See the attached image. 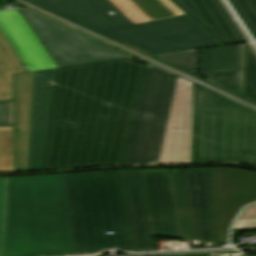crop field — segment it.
<instances>
[{"mask_svg": "<svg viewBox=\"0 0 256 256\" xmlns=\"http://www.w3.org/2000/svg\"><path fill=\"white\" fill-rule=\"evenodd\" d=\"M145 67L129 59L55 69L41 169L121 165Z\"/></svg>", "mask_w": 256, "mask_h": 256, "instance_id": "crop-field-1", "label": "crop field"}, {"mask_svg": "<svg viewBox=\"0 0 256 256\" xmlns=\"http://www.w3.org/2000/svg\"><path fill=\"white\" fill-rule=\"evenodd\" d=\"M29 1L151 55L220 45L187 15L134 25L109 0Z\"/></svg>", "mask_w": 256, "mask_h": 256, "instance_id": "crop-field-2", "label": "crop field"}, {"mask_svg": "<svg viewBox=\"0 0 256 256\" xmlns=\"http://www.w3.org/2000/svg\"><path fill=\"white\" fill-rule=\"evenodd\" d=\"M66 178L76 253L107 248L133 252L120 171Z\"/></svg>", "mask_w": 256, "mask_h": 256, "instance_id": "crop-field-3", "label": "crop field"}, {"mask_svg": "<svg viewBox=\"0 0 256 256\" xmlns=\"http://www.w3.org/2000/svg\"><path fill=\"white\" fill-rule=\"evenodd\" d=\"M22 256L77 255L65 175L18 177Z\"/></svg>", "mask_w": 256, "mask_h": 256, "instance_id": "crop-field-4", "label": "crop field"}, {"mask_svg": "<svg viewBox=\"0 0 256 256\" xmlns=\"http://www.w3.org/2000/svg\"><path fill=\"white\" fill-rule=\"evenodd\" d=\"M211 162L256 165V113L200 87L196 163Z\"/></svg>", "mask_w": 256, "mask_h": 256, "instance_id": "crop-field-5", "label": "crop field"}, {"mask_svg": "<svg viewBox=\"0 0 256 256\" xmlns=\"http://www.w3.org/2000/svg\"><path fill=\"white\" fill-rule=\"evenodd\" d=\"M177 78L147 65L124 165L157 163Z\"/></svg>", "mask_w": 256, "mask_h": 256, "instance_id": "crop-field-6", "label": "crop field"}, {"mask_svg": "<svg viewBox=\"0 0 256 256\" xmlns=\"http://www.w3.org/2000/svg\"><path fill=\"white\" fill-rule=\"evenodd\" d=\"M19 10L58 67L133 58L35 11Z\"/></svg>", "mask_w": 256, "mask_h": 256, "instance_id": "crop-field-7", "label": "crop field"}, {"mask_svg": "<svg viewBox=\"0 0 256 256\" xmlns=\"http://www.w3.org/2000/svg\"><path fill=\"white\" fill-rule=\"evenodd\" d=\"M211 174L217 238L220 244H226L228 228L238 210L256 201V173L212 168Z\"/></svg>", "mask_w": 256, "mask_h": 256, "instance_id": "crop-field-8", "label": "crop field"}, {"mask_svg": "<svg viewBox=\"0 0 256 256\" xmlns=\"http://www.w3.org/2000/svg\"><path fill=\"white\" fill-rule=\"evenodd\" d=\"M193 163V83L178 78L158 163Z\"/></svg>", "mask_w": 256, "mask_h": 256, "instance_id": "crop-field-9", "label": "crop field"}, {"mask_svg": "<svg viewBox=\"0 0 256 256\" xmlns=\"http://www.w3.org/2000/svg\"><path fill=\"white\" fill-rule=\"evenodd\" d=\"M181 172L191 239L217 244L210 169Z\"/></svg>", "mask_w": 256, "mask_h": 256, "instance_id": "crop-field-10", "label": "crop field"}, {"mask_svg": "<svg viewBox=\"0 0 256 256\" xmlns=\"http://www.w3.org/2000/svg\"><path fill=\"white\" fill-rule=\"evenodd\" d=\"M0 30L29 72L57 67L18 9L0 12Z\"/></svg>", "mask_w": 256, "mask_h": 256, "instance_id": "crop-field-11", "label": "crop field"}, {"mask_svg": "<svg viewBox=\"0 0 256 256\" xmlns=\"http://www.w3.org/2000/svg\"><path fill=\"white\" fill-rule=\"evenodd\" d=\"M143 176L153 235L180 238L170 172Z\"/></svg>", "mask_w": 256, "mask_h": 256, "instance_id": "crop-field-12", "label": "crop field"}, {"mask_svg": "<svg viewBox=\"0 0 256 256\" xmlns=\"http://www.w3.org/2000/svg\"><path fill=\"white\" fill-rule=\"evenodd\" d=\"M134 252L155 251L141 170L121 171Z\"/></svg>", "mask_w": 256, "mask_h": 256, "instance_id": "crop-field-13", "label": "crop field"}, {"mask_svg": "<svg viewBox=\"0 0 256 256\" xmlns=\"http://www.w3.org/2000/svg\"><path fill=\"white\" fill-rule=\"evenodd\" d=\"M222 44L245 41L219 0H172Z\"/></svg>", "mask_w": 256, "mask_h": 256, "instance_id": "crop-field-14", "label": "crop field"}, {"mask_svg": "<svg viewBox=\"0 0 256 256\" xmlns=\"http://www.w3.org/2000/svg\"><path fill=\"white\" fill-rule=\"evenodd\" d=\"M53 73L54 69L34 72L28 170H40L41 167Z\"/></svg>", "mask_w": 256, "mask_h": 256, "instance_id": "crop-field-15", "label": "crop field"}, {"mask_svg": "<svg viewBox=\"0 0 256 256\" xmlns=\"http://www.w3.org/2000/svg\"><path fill=\"white\" fill-rule=\"evenodd\" d=\"M15 87V170H27L32 109L33 72L14 75Z\"/></svg>", "mask_w": 256, "mask_h": 256, "instance_id": "crop-field-16", "label": "crop field"}, {"mask_svg": "<svg viewBox=\"0 0 256 256\" xmlns=\"http://www.w3.org/2000/svg\"><path fill=\"white\" fill-rule=\"evenodd\" d=\"M5 256H21L17 177L7 186Z\"/></svg>", "mask_w": 256, "mask_h": 256, "instance_id": "crop-field-17", "label": "crop field"}, {"mask_svg": "<svg viewBox=\"0 0 256 256\" xmlns=\"http://www.w3.org/2000/svg\"><path fill=\"white\" fill-rule=\"evenodd\" d=\"M242 69V45L201 50L200 75L209 82L212 70Z\"/></svg>", "mask_w": 256, "mask_h": 256, "instance_id": "crop-field-18", "label": "crop field"}, {"mask_svg": "<svg viewBox=\"0 0 256 256\" xmlns=\"http://www.w3.org/2000/svg\"><path fill=\"white\" fill-rule=\"evenodd\" d=\"M0 31V101L14 100L13 74L26 69Z\"/></svg>", "mask_w": 256, "mask_h": 256, "instance_id": "crop-field-19", "label": "crop field"}, {"mask_svg": "<svg viewBox=\"0 0 256 256\" xmlns=\"http://www.w3.org/2000/svg\"><path fill=\"white\" fill-rule=\"evenodd\" d=\"M243 95L256 101V54L243 45Z\"/></svg>", "mask_w": 256, "mask_h": 256, "instance_id": "crop-field-20", "label": "crop field"}, {"mask_svg": "<svg viewBox=\"0 0 256 256\" xmlns=\"http://www.w3.org/2000/svg\"><path fill=\"white\" fill-rule=\"evenodd\" d=\"M181 238L190 239L180 170H170Z\"/></svg>", "mask_w": 256, "mask_h": 256, "instance_id": "crop-field-21", "label": "crop field"}, {"mask_svg": "<svg viewBox=\"0 0 256 256\" xmlns=\"http://www.w3.org/2000/svg\"><path fill=\"white\" fill-rule=\"evenodd\" d=\"M14 168V128L0 127V171Z\"/></svg>", "mask_w": 256, "mask_h": 256, "instance_id": "crop-field-22", "label": "crop field"}, {"mask_svg": "<svg viewBox=\"0 0 256 256\" xmlns=\"http://www.w3.org/2000/svg\"><path fill=\"white\" fill-rule=\"evenodd\" d=\"M210 83L242 95V70L210 72Z\"/></svg>", "mask_w": 256, "mask_h": 256, "instance_id": "crop-field-23", "label": "crop field"}, {"mask_svg": "<svg viewBox=\"0 0 256 256\" xmlns=\"http://www.w3.org/2000/svg\"><path fill=\"white\" fill-rule=\"evenodd\" d=\"M198 50L153 56L174 66L196 74Z\"/></svg>", "mask_w": 256, "mask_h": 256, "instance_id": "crop-field-24", "label": "crop field"}, {"mask_svg": "<svg viewBox=\"0 0 256 256\" xmlns=\"http://www.w3.org/2000/svg\"><path fill=\"white\" fill-rule=\"evenodd\" d=\"M230 2L256 38V0H230Z\"/></svg>", "mask_w": 256, "mask_h": 256, "instance_id": "crop-field-25", "label": "crop field"}, {"mask_svg": "<svg viewBox=\"0 0 256 256\" xmlns=\"http://www.w3.org/2000/svg\"><path fill=\"white\" fill-rule=\"evenodd\" d=\"M6 179L0 178V256H4Z\"/></svg>", "mask_w": 256, "mask_h": 256, "instance_id": "crop-field-26", "label": "crop field"}, {"mask_svg": "<svg viewBox=\"0 0 256 256\" xmlns=\"http://www.w3.org/2000/svg\"><path fill=\"white\" fill-rule=\"evenodd\" d=\"M0 126H14V101L0 102Z\"/></svg>", "mask_w": 256, "mask_h": 256, "instance_id": "crop-field-27", "label": "crop field"}, {"mask_svg": "<svg viewBox=\"0 0 256 256\" xmlns=\"http://www.w3.org/2000/svg\"><path fill=\"white\" fill-rule=\"evenodd\" d=\"M256 227V214L240 216L236 224L234 225L235 230L249 229Z\"/></svg>", "mask_w": 256, "mask_h": 256, "instance_id": "crop-field-28", "label": "crop field"}, {"mask_svg": "<svg viewBox=\"0 0 256 256\" xmlns=\"http://www.w3.org/2000/svg\"><path fill=\"white\" fill-rule=\"evenodd\" d=\"M254 213H256V204L246 207V208L242 211L241 215H245V214H254Z\"/></svg>", "mask_w": 256, "mask_h": 256, "instance_id": "crop-field-29", "label": "crop field"}]
</instances>
